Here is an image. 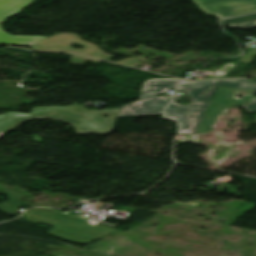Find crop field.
Instances as JSON below:
<instances>
[{"label": "crop field", "instance_id": "8a807250", "mask_svg": "<svg viewBox=\"0 0 256 256\" xmlns=\"http://www.w3.org/2000/svg\"><path fill=\"white\" fill-rule=\"evenodd\" d=\"M119 109L102 111H87L83 106L68 107H39L34 108L31 114L9 112L0 115V131H7L18 126L22 121L34 118L54 119L70 123L78 134L109 133L116 119ZM102 114L110 115L102 118Z\"/></svg>", "mask_w": 256, "mask_h": 256}, {"label": "crop field", "instance_id": "ac0d7876", "mask_svg": "<svg viewBox=\"0 0 256 256\" xmlns=\"http://www.w3.org/2000/svg\"><path fill=\"white\" fill-rule=\"evenodd\" d=\"M218 86L256 89V83L247 79L241 80H209V81H182L178 90L188 91L192 98L189 106L178 105V96H173L168 105L165 117L180 122L179 134H194Z\"/></svg>", "mask_w": 256, "mask_h": 256}, {"label": "crop field", "instance_id": "34b2d1b8", "mask_svg": "<svg viewBox=\"0 0 256 256\" xmlns=\"http://www.w3.org/2000/svg\"><path fill=\"white\" fill-rule=\"evenodd\" d=\"M178 79H152L144 82L139 101L120 108L118 116L163 114L170 97H154L167 90H176Z\"/></svg>", "mask_w": 256, "mask_h": 256}, {"label": "crop field", "instance_id": "412701ff", "mask_svg": "<svg viewBox=\"0 0 256 256\" xmlns=\"http://www.w3.org/2000/svg\"><path fill=\"white\" fill-rule=\"evenodd\" d=\"M85 46V48H70L72 44ZM33 50L37 51H62L73 52L82 55L93 56L105 60H109L113 55L105 54L96 45L80 39L77 35L56 34L48 39L31 45ZM111 60V59H110Z\"/></svg>", "mask_w": 256, "mask_h": 256}, {"label": "crop field", "instance_id": "f4fd0767", "mask_svg": "<svg viewBox=\"0 0 256 256\" xmlns=\"http://www.w3.org/2000/svg\"><path fill=\"white\" fill-rule=\"evenodd\" d=\"M206 14L219 19L256 12V0H193Z\"/></svg>", "mask_w": 256, "mask_h": 256}, {"label": "crop field", "instance_id": "dd49c442", "mask_svg": "<svg viewBox=\"0 0 256 256\" xmlns=\"http://www.w3.org/2000/svg\"><path fill=\"white\" fill-rule=\"evenodd\" d=\"M34 0H0V24L4 19L21 11ZM48 37L38 36H11L0 27V43L7 45H31Z\"/></svg>", "mask_w": 256, "mask_h": 256}, {"label": "crop field", "instance_id": "e52e79f7", "mask_svg": "<svg viewBox=\"0 0 256 256\" xmlns=\"http://www.w3.org/2000/svg\"><path fill=\"white\" fill-rule=\"evenodd\" d=\"M235 90L231 88H219L197 132L203 133L208 130L216 117L227 105L236 106L251 102L253 97L250 96H244L241 100L234 99L232 96Z\"/></svg>", "mask_w": 256, "mask_h": 256}, {"label": "crop field", "instance_id": "d8731c3e", "mask_svg": "<svg viewBox=\"0 0 256 256\" xmlns=\"http://www.w3.org/2000/svg\"><path fill=\"white\" fill-rule=\"evenodd\" d=\"M223 25H230L231 27H255L256 26V14L246 15L230 20L222 21Z\"/></svg>", "mask_w": 256, "mask_h": 256}, {"label": "crop field", "instance_id": "5a996713", "mask_svg": "<svg viewBox=\"0 0 256 256\" xmlns=\"http://www.w3.org/2000/svg\"><path fill=\"white\" fill-rule=\"evenodd\" d=\"M85 60L95 62V63L99 62V60H95V59H91L83 56L71 55V64H83Z\"/></svg>", "mask_w": 256, "mask_h": 256}, {"label": "crop field", "instance_id": "3316defc", "mask_svg": "<svg viewBox=\"0 0 256 256\" xmlns=\"http://www.w3.org/2000/svg\"><path fill=\"white\" fill-rule=\"evenodd\" d=\"M143 60H145L144 57H133V58H129V59L119 61V62H116V63L135 66V65L139 64L140 62H142Z\"/></svg>", "mask_w": 256, "mask_h": 256}, {"label": "crop field", "instance_id": "28ad6ade", "mask_svg": "<svg viewBox=\"0 0 256 256\" xmlns=\"http://www.w3.org/2000/svg\"><path fill=\"white\" fill-rule=\"evenodd\" d=\"M256 55V48L249 51L246 55H244L239 61L249 63L252 61L253 57Z\"/></svg>", "mask_w": 256, "mask_h": 256}, {"label": "crop field", "instance_id": "d1516ede", "mask_svg": "<svg viewBox=\"0 0 256 256\" xmlns=\"http://www.w3.org/2000/svg\"><path fill=\"white\" fill-rule=\"evenodd\" d=\"M248 113L256 111V97L253 98L252 102L246 105H242Z\"/></svg>", "mask_w": 256, "mask_h": 256}, {"label": "crop field", "instance_id": "22f410ed", "mask_svg": "<svg viewBox=\"0 0 256 256\" xmlns=\"http://www.w3.org/2000/svg\"><path fill=\"white\" fill-rule=\"evenodd\" d=\"M5 134H7V132H0V137L4 136Z\"/></svg>", "mask_w": 256, "mask_h": 256}]
</instances>
